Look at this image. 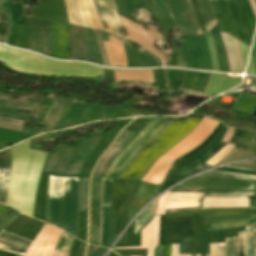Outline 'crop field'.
Returning a JSON list of instances; mask_svg holds the SVG:
<instances>
[{"instance_id": "27", "label": "crop field", "mask_w": 256, "mask_h": 256, "mask_svg": "<svg viewBox=\"0 0 256 256\" xmlns=\"http://www.w3.org/2000/svg\"><path fill=\"white\" fill-rule=\"evenodd\" d=\"M205 194L208 195H255V193L249 192H217V191H207Z\"/></svg>"}, {"instance_id": "15", "label": "crop field", "mask_w": 256, "mask_h": 256, "mask_svg": "<svg viewBox=\"0 0 256 256\" xmlns=\"http://www.w3.org/2000/svg\"><path fill=\"white\" fill-rule=\"evenodd\" d=\"M153 201L149 206H147L135 219V227H134V236L136 233L143 228L147 222L151 219L154 207Z\"/></svg>"}, {"instance_id": "36", "label": "crop field", "mask_w": 256, "mask_h": 256, "mask_svg": "<svg viewBox=\"0 0 256 256\" xmlns=\"http://www.w3.org/2000/svg\"><path fill=\"white\" fill-rule=\"evenodd\" d=\"M161 249H162V245H155L153 256H161Z\"/></svg>"}, {"instance_id": "7", "label": "crop field", "mask_w": 256, "mask_h": 256, "mask_svg": "<svg viewBox=\"0 0 256 256\" xmlns=\"http://www.w3.org/2000/svg\"><path fill=\"white\" fill-rule=\"evenodd\" d=\"M256 181L193 177L180 185L203 186L217 189L255 190Z\"/></svg>"}, {"instance_id": "31", "label": "crop field", "mask_w": 256, "mask_h": 256, "mask_svg": "<svg viewBox=\"0 0 256 256\" xmlns=\"http://www.w3.org/2000/svg\"><path fill=\"white\" fill-rule=\"evenodd\" d=\"M229 166H235V167H243V168H249V169H256V161L253 162H246V163H239Z\"/></svg>"}, {"instance_id": "9", "label": "crop field", "mask_w": 256, "mask_h": 256, "mask_svg": "<svg viewBox=\"0 0 256 256\" xmlns=\"http://www.w3.org/2000/svg\"><path fill=\"white\" fill-rule=\"evenodd\" d=\"M31 241L14 235L5 230L0 232V249L12 252L18 255H24Z\"/></svg>"}, {"instance_id": "11", "label": "crop field", "mask_w": 256, "mask_h": 256, "mask_svg": "<svg viewBox=\"0 0 256 256\" xmlns=\"http://www.w3.org/2000/svg\"><path fill=\"white\" fill-rule=\"evenodd\" d=\"M110 42L103 43L110 66H128L124 46L119 40L109 36Z\"/></svg>"}, {"instance_id": "3", "label": "crop field", "mask_w": 256, "mask_h": 256, "mask_svg": "<svg viewBox=\"0 0 256 256\" xmlns=\"http://www.w3.org/2000/svg\"><path fill=\"white\" fill-rule=\"evenodd\" d=\"M119 12L126 16L133 15L134 7L144 4L154 15L159 25L160 31L167 34L172 28H177L172 18L166 0H115Z\"/></svg>"}, {"instance_id": "32", "label": "crop field", "mask_w": 256, "mask_h": 256, "mask_svg": "<svg viewBox=\"0 0 256 256\" xmlns=\"http://www.w3.org/2000/svg\"><path fill=\"white\" fill-rule=\"evenodd\" d=\"M238 252V241L237 237L232 238V256H237Z\"/></svg>"}, {"instance_id": "4", "label": "crop field", "mask_w": 256, "mask_h": 256, "mask_svg": "<svg viewBox=\"0 0 256 256\" xmlns=\"http://www.w3.org/2000/svg\"><path fill=\"white\" fill-rule=\"evenodd\" d=\"M70 24L103 30L92 0H64Z\"/></svg>"}, {"instance_id": "5", "label": "crop field", "mask_w": 256, "mask_h": 256, "mask_svg": "<svg viewBox=\"0 0 256 256\" xmlns=\"http://www.w3.org/2000/svg\"><path fill=\"white\" fill-rule=\"evenodd\" d=\"M128 34L130 40L138 43L140 46L148 49L153 54L158 56L161 60H163L164 55L161 54L154 46L151 41L161 38L159 32L153 26L139 25L136 24L123 16L119 15ZM143 26L147 27L148 30L141 29Z\"/></svg>"}, {"instance_id": "22", "label": "crop field", "mask_w": 256, "mask_h": 256, "mask_svg": "<svg viewBox=\"0 0 256 256\" xmlns=\"http://www.w3.org/2000/svg\"><path fill=\"white\" fill-rule=\"evenodd\" d=\"M187 207H198V201H177L168 202L166 209H179Z\"/></svg>"}, {"instance_id": "42", "label": "crop field", "mask_w": 256, "mask_h": 256, "mask_svg": "<svg viewBox=\"0 0 256 256\" xmlns=\"http://www.w3.org/2000/svg\"><path fill=\"white\" fill-rule=\"evenodd\" d=\"M196 256H200V255H196Z\"/></svg>"}, {"instance_id": "1", "label": "crop field", "mask_w": 256, "mask_h": 256, "mask_svg": "<svg viewBox=\"0 0 256 256\" xmlns=\"http://www.w3.org/2000/svg\"><path fill=\"white\" fill-rule=\"evenodd\" d=\"M79 178L49 175L46 221L77 237Z\"/></svg>"}, {"instance_id": "17", "label": "crop field", "mask_w": 256, "mask_h": 256, "mask_svg": "<svg viewBox=\"0 0 256 256\" xmlns=\"http://www.w3.org/2000/svg\"><path fill=\"white\" fill-rule=\"evenodd\" d=\"M112 184H113V180L104 178L103 196H102L103 207L112 206Z\"/></svg>"}, {"instance_id": "23", "label": "crop field", "mask_w": 256, "mask_h": 256, "mask_svg": "<svg viewBox=\"0 0 256 256\" xmlns=\"http://www.w3.org/2000/svg\"><path fill=\"white\" fill-rule=\"evenodd\" d=\"M216 171H227V172H235V173L248 174V175H256L255 170L233 168V167H229V166H224V167L218 168V169H216Z\"/></svg>"}, {"instance_id": "37", "label": "crop field", "mask_w": 256, "mask_h": 256, "mask_svg": "<svg viewBox=\"0 0 256 256\" xmlns=\"http://www.w3.org/2000/svg\"><path fill=\"white\" fill-rule=\"evenodd\" d=\"M219 246V256H224V243H218Z\"/></svg>"}, {"instance_id": "14", "label": "crop field", "mask_w": 256, "mask_h": 256, "mask_svg": "<svg viewBox=\"0 0 256 256\" xmlns=\"http://www.w3.org/2000/svg\"><path fill=\"white\" fill-rule=\"evenodd\" d=\"M115 82H119L121 80H141L150 83H154V77L152 70L146 71H114Z\"/></svg>"}, {"instance_id": "30", "label": "crop field", "mask_w": 256, "mask_h": 256, "mask_svg": "<svg viewBox=\"0 0 256 256\" xmlns=\"http://www.w3.org/2000/svg\"><path fill=\"white\" fill-rule=\"evenodd\" d=\"M227 126H236V127H241L244 129H247L249 131H256V126L253 125H246V124H241V123H234V122H227Z\"/></svg>"}, {"instance_id": "19", "label": "crop field", "mask_w": 256, "mask_h": 256, "mask_svg": "<svg viewBox=\"0 0 256 256\" xmlns=\"http://www.w3.org/2000/svg\"><path fill=\"white\" fill-rule=\"evenodd\" d=\"M204 35L206 37L208 48H209V53H210L211 62H212V70H218V58H217L216 51L214 49L212 36H211L210 32H208Z\"/></svg>"}, {"instance_id": "26", "label": "crop field", "mask_w": 256, "mask_h": 256, "mask_svg": "<svg viewBox=\"0 0 256 256\" xmlns=\"http://www.w3.org/2000/svg\"><path fill=\"white\" fill-rule=\"evenodd\" d=\"M222 38H223V43H224V47H225V51L228 57V61H229V65H230V71L236 72L235 70V66L233 63V59H232V55L228 46V42H227V36L226 34L220 33Z\"/></svg>"}, {"instance_id": "25", "label": "crop field", "mask_w": 256, "mask_h": 256, "mask_svg": "<svg viewBox=\"0 0 256 256\" xmlns=\"http://www.w3.org/2000/svg\"><path fill=\"white\" fill-rule=\"evenodd\" d=\"M220 125H221V123H220ZM220 125L216 128V130L212 133V135L208 139H206L201 145H199L196 149H194L192 152H190L189 154L185 155L184 157H182L179 160H182V159H184V158H186V157L196 153L197 151H199L202 148H204L207 144H209L215 138V136H216V134H217V132L219 130Z\"/></svg>"}, {"instance_id": "8", "label": "crop field", "mask_w": 256, "mask_h": 256, "mask_svg": "<svg viewBox=\"0 0 256 256\" xmlns=\"http://www.w3.org/2000/svg\"><path fill=\"white\" fill-rule=\"evenodd\" d=\"M249 198V197H248ZM221 207H249V199L247 197H212V208ZM202 208H211V196L201 197L199 208L191 209H179V210H166L170 211H181V210H194Z\"/></svg>"}, {"instance_id": "39", "label": "crop field", "mask_w": 256, "mask_h": 256, "mask_svg": "<svg viewBox=\"0 0 256 256\" xmlns=\"http://www.w3.org/2000/svg\"><path fill=\"white\" fill-rule=\"evenodd\" d=\"M175 256H178V244H176V247H175Z\"/></svg>"}, {"instance_id": "21", "label": "crop field", "mask_w": 256, "mask_h": 256, "mask_svg": "<svg viewBox=\"0 0 256 256\" xmlns=\"http://www.w3.org/2000/svg\"><path fill=\"white\" fill-rule=\"evenodd\" d=\"M202 194L170 193L168 200H199Z\"/></svg>"}, {"instance_id": "10", "label": "crop field", "mask_w": 256, "mask_h": 256, "mask_svg": "<svg viewBox=\"0 0 256 256\" xmlns=\"http://www.w3.org/2000/svg\"><path fill=\"white\" fill-rule=\"evenodd\" d=\"M11 167V150L0 153V202L6 204Z\"/></svg>"}, {"instance_id": "29", "label": "crop field", "mask_w": 256, "mask_h": 256, "mask_svg": "<svg viewBox=\"0 0 256 256\" xmlns=\"http://www.w3.org/2000/svg\"><path fill=\"white\" fill-rule=\"evenodd\" d=\"M238 235H243V231L239 232ZM238 256H245V231L244 236L239 237V253Z\"/></svg>"}, {"instance_id": "16", "label": "crop field", "mask_w": 256, "mask_h": 256, "mask_svg": "<svg viewBox=\"0 0 256 256\" xmlns=\"http://www.w3.org/2000/svg\"><path fill=\"white\" fill-rule=\"evenodd\" d=\"M73 238L62 233L55 249L69 251ZM55 250L52 256H67L68 252Z\"/></svg>"}, {"instance_id": "34", "label": "crop field", "mask_w": 256, "mask_h": 256, "mask_svg": "<svg viewBox=\"0 0 256 256\" xmlns=\"http://www.w3.org/2000/svg\"><path fill=\"white\" fill-rule=\"evenodd\" d=\"M210 256H218L217 244H210Z\"/></svg>"}, {"instance_id": "40", "label": "crop field", "mask_w": 256, "mask_h": 256, "mask_svg": "<svg viewBox=\"0 0 256 256\" xmlns=\"http://www.w3.org/2000/svg\"><path fill=\"white\" fill-rule=\"evenodd\" d=\"M171 256H174V244H172V255Z\"/></svg>"}, {"instance_id": "6", "label": "crop field", "mask_w": 256, "mask_h": 256, "mask_svg": "<svg viewBox=\"0 0 256 256\" xmlns=\"http://www.w3.org/2000/svg\"><path fill=\"white\" fill-rule=\"evenodd\" d=\"M93 2L98 11L104 30L116 36L128 38L117 14L113 0H93Z\"/></svg>"}, {"instance_id": "43", "label": "crop field", "mask_w": 256, "mask_h": 256, "mask_svg": "<svg viewBox=\"0 0 256 256\" xmlns=\"http://www.w3.org/2000/svg\"><path fill=\"white\" fill-rule=\"evenodd\" d=\"M206 256H209V255H206Z\"/></svg>"}, {"instance_id": "38", "label": "crop field", "mask_w": 256, "mask_h": 256, "mask_svg": "<svg viewBox=\"0 0 256 256\" xmlns=\"http://www.w3.org/2000/svg\"><path fill=\"white\" fill-rule=\"evenodd\" d=\"M249 1H250V4H251L253 13H254V15L256 17V2H255V0H249Z\"/></svg>"}, {"instance_id": "20", "label": "crop field", "mask_w": 256, "mask_h": 256, "mask_svg": "<svg viewBox=\"0 0 256 256\" xmlns=\"http://www.w3.org/2000/svg\"><path fill=\"white\" fill-rule=\"evenodd\" d=\"M203 176L256 180L255 176L229 174V173L215 172V171H210L206 174H203Z\"/></svg>"}, {"instance_id": "13", "label": "crop field", "mask_w": 256, "mask_h": 256, "mask_svg": "<svg viewBox=\"0 0 256 256\" xmlns=\"http://www.w3.org/2000/svg\"><path fill=\"white\" fill-rule=\"evenodd\" d=\"M250 216L249 220H235L225 222H211L205 223L209 231L220 230L226 228L240 227L252 224L256 221V197H250Z\"/></svg>"}, {"instance_id": "41", "label": "crop field", "mask_w": 256, "mask_h": 256, "mask_svg": "<svg viewBox=\"0 0 256 256\" xmlns=\"http://www.w3.org/2000/svg\"><path fill=\"white\" fill-rule=\"evenodd\" d=\"M179 256H191V255L179 254Z\"/></svg>"}, {"instance_id": "24", "label": "crop field", "mask_w": 256, "mask_h": 256, "mask_svg": "<svg viewBox=\"0 0 256 256\" xmlns=\"http://www.w3.org/2000/svg\"><path fill=\"white\" fill-rule=\"evenodd\" d=\"M246 256H251L253 225L246 227Z\"/></svg>"}, {"instance_id": "28", "label": "crop field", "mask_w": 256, "mask_h": 256, "mask_svg": "<svg viewBox=\"0 0 256 256\" xmlns=\"http://www.w3.org/2000/svg\"><path fill=\"white\" fill-rule=\"evenodd\" d=\"M231 38H232L233 46H234V49H235L239 69H240V71H242L243 68H244V65H243L242 58H241V55H240V51H239V48H238L237 39H235L233 37H231Z\"/></svg>"}, {"instance_id": "12", "label": "crop field", "mask_w": 256, "mask_h": 256, "mask_svg": "<svg viewBox=\"0 0 256 256\" xmlns=\"http://www.w3.org/2000/svg\"><path fill=\"white\" fill-rule=\"evenodd\" d=\"M231 143H235L234 148L236 149L256 153V133L235 128Z\"/></svg>"}, {"instance_id": "2", "label": "crop field", "mask_w": 256, "mask_h": 256, "mask_svg": "<svg viewBox=\"0 0 256 256\" xmlns=\"http://www.w3.org/2000/svg\"><path fill=\"white\" fill-rule=\"evenodd\" d=\"M168 123L165 118H153V120L126 146L111 165L106 176L117 178L133 156L146 146Z\"/></svg>"}, {"instance_id": "18", "label": "crop field", "mask_w": 256, "mask_h": 256, "mask_svg": "<svg viewBox=\"0 0 256 256\" xmlns=\"http://www.w3.org/2000/svg\"><path fill=\"white\" fill-rule=\"evenodd\" d=\"M253 156H256V154L233 149L219 162L224 164V163H228V162H232V161H236V160H240L248 157H253Z\"/></svg>"}, {"instance_id": "35", "label": "crop field", "mask_w": 256, "mask_h": 256, "mask_svg": "<svg viewBox=\"0 0 256 256\" xmlns=\"http://www.w3.org/2000/svg\"><path fill=\"white\" fill-rule=\"evenodd\" d=\"M252 256H256V223L254 224L253 252H252Z\"/></svg>"}, {"instance_id": "33", "label": "crop field", "mask_w": 256, "mask_h": 256, "mask_svg": "<svg viewBox=\"0 0 256 256\" xmlns=\"http://www.w3.org/2000/svg\"><path fill=\"white\" fill-rule=\"evenodd\" d=\"M226 251L225 256H231V238L225 239Z\"/></svg>"}]
</instances>
